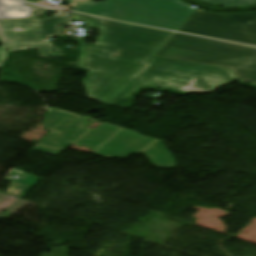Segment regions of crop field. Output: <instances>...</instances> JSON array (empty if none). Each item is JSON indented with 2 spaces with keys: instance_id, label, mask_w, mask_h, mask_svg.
<instances>
[{
  "instance_id": "crop-field-9",
  "label": "crop field",
  "mask_w": 256,
  "mask_h": 256,
  "mask_svg": "<svg viewBox=\"0 0 256 256\" xmlns=\"http://www.w3.org/2000/svg\"><path fill=\"white\" fill-rule=\"evenodd\" d=\"M45 11L18 0H0V19L41 17Z\"/></svg>"
},
{
  "instance_id": "crop-field-5",
  "label": "crop field",
  "mask_w": 256,
  "mask_h": 256,
  "mask_svg": "<svg viewBox=\"0 0 256 256\" xmlns=\"http://www.w3.org/2000/svg\"><path fill=\"white\" fill-rule=\"evenodd\" d=\"M68 24L66 13L57 11L51 18L0 20V40L10 51L35 48L41 56H62L48 40L61 37L59 25Z\"/></svg>"
},
{
  "instance_id": "crop-field-10",
  "label": "crop field",
  "mask_w": 256,
  "mask_h": 256,
  "mask_svg": "<svg viewBox=\"0 0 256 256\" xmlns=\"http://www.w3.org/2000/svg\"><path fill=\"white\" fill-rule=\"evenodd\" d=\"M120 130H122V128L103 123L96 130L88 131L74 144L86 146L91 150L97 151Z\"/></svg>"
},
{
  "instance_id": "crop-field-2",
  "label": "crop field",
  "mask_w": 256,
  "mask_h": 256,
  "mask_svg": "<svg viewBox=\"0 0 256 256\" xmlns=\"http://www.w3.org/2000/svg\"><path fill=\"white\" fill-rule=\"evenodd\" d=\"M145 65L106 102L120 100L144 84L196 94H210L219 86L236 81L231 70L209 65L155 56Z\"/></svg>"
},
{
  "instance_id": "crop-field-1",
  "label": "crop field",
  "mask_w": 256,
  "mask_h": 256,
  "mask_svg": "<svg viewBox=\"0 0 256 256\" xmlns=\"http://www.w3.org/2000/svg\"><path fill=\"white\" fill-rule=\"evenodd\" d=\"M73 21H83L100 30L96 44H83L79 66L90 70L82 79L89 98L105 101L128 77L143 66L174 34L71 13Z\"/></svg>"
},
{
  "instance_id": "crop-field-6",
  "label": "crop field",
  "mask_w": 256,
  "mask_h": 256,
  "mask_svg": "<svg viewBox=\"0 0 256 256\" xmlns=\"http://www.w3.org/2000/svg\"><path fill=\"white\" fill-rule=\"evenodd\" d=\"M180 31L256 45V12L210 14L199 10Z\"/></svg>"
},
{
  "instance_id": "crop-field-13",
  "label": "crop field",
  "mask_w": 256,
  "mask_h": 256,
  "mask_svg": "<svg viewBox=\"0 0 256 256\" xmlns=\"http://www.w3.org/2000/svg\"><path fill=\"white\" fill-rule=\"evenodd\" d=\"M196 1L209 2L215 6H220V7L256 6V0H196Z\"/></svg>"
},
{
  "instance_id": "crop-field-8",
  "label": "crop field",
  "mask_w": 256,
  "mask_h": 256,
  "mask_svg": "<svg viewBox=\"0 0 256 256\" xmlns=\"http://www.w3.org/2000/svg\"><path fill=\"white\" fill-rule=\"evenodd\" d=\"M155 141L156 139L141 136L130 130L123 129L94 154L108 159L114 156L126 158L132 153L143 152Z\"/></svg>"
},
{
  "instance_id": "crop-field-15",
  "label": "crop field",
  "mask_w": 256,
  "mask_h": 256,
  "mask_svg": "<svg viewBox=\"0 0 256 256\" xmlns=\"http://www.w3.org/2000/svg\"><path fill=\"white\" fill-rule=\"evenodd\" d=\"M6 58H7V51L3 46H1L0 47V68L2 67L3 62L6 61Z\"/></svg>"
},
{
  "instance_id": "crop-field-14",
  "label": "crop field",
  "mask_w": 256,
  "mask_h": 256,
  "mask_svg": "<svg viewBox=\"0 0 256 256\" xmlns=\"http://www.w3.org/2000/svg\"><path fill=\"white\" fill-rule=\"evenodd\" d=\"M52 254L42 252L41 256H68L69 247L67 246H58L51 247Z\"/></svg>"
},
{
  "instance_id": "crop-field-11",
  "label": "crop field",
  "mask_w": 256,
  "mask_h": 256,
  "mask_svg": "<svg viewBox=\"0 0 256 256\" xmlns=\"http://www.w3.org/2000/svg\"><path fill=\"white\" fill-rule=\"evenodd\" d=\"M143 154L157 167L174 168L176 166L174 158L160 140L153 143Z\"/></svg>"
},
{
  "instance_id": "crop-field-16",
  "label": "crop field",
  "mask_w": 256,
  "mask_h": 256,
  "mask_svg": "<svg viewBox=\"0 0 256 256\" xmlns=\"http://www.w3.org/2000/svg\"><path fill=\"white\" fill-rule=\"evenodd\" d=\"M93 0H67V5L69 7H75L79 2H92Z\"/></svg>"
},
{
  "instance_id": "crop-field-4",
  "label": "crop field",
  "mask_w": 256,
  "mask_h": 256,
  "mask_svg": "<svg viewBox=\"0 0 256 256\" xmlns=\"http://www.w3.org/2000/svg\"><path fill=\"white\" fill-rule=\"evenodd\" d=\"M179 0H106L73 10L177 31L195 9Z\"/></svg>"
},
{
  "instance_id": "crop-field-7",
  "label": "crop field",
  "mask_w": 256,
  "mask_h": 256,
  "mask_svg": "<svg viewBox=\"0 0 256 256\" xmlns=\"http://www.w3.org/2000/svg\"><path fill=\"white\" fill-rule=\"evenodd\" d=\"M87 118L52 108L45 113L43 119L44 129H51L52 131L35 146L60 153L89 130L86 127L91 122L85 121Z\"/></svg>"
},
{
  "instance_id": "crop-field-12",
  "label": "crop field",
  "mask_w": 256,
  "mask_h": 256,
  "mask_svg": "<svg viewBox=\"0 0 256 256\" xmlns=\"http://www.w3.org/2000/svg\"><path fill=\"white\" fill-rule=\"evenodd\" d=\"M4 180L12 182L6 194L23 198L25 193L32 188V186L38 180V178H34L27 175L23 180L7 178H4Z\"/></svg>"
},
{
  "instance_id": "crop-field-3",
  "label": "crop field",
  "mask_w": 256,
  "mask_h": 256,
  "mask_svg": "<svg viewBox=\"0 0 256 256\" xmlns=\"http://www.w3.org/2000/svg\"><path fill=\"white\" fill-rule=\"evenodd\" d=\"M230 68L237 80L256 84V49L175 33L155 54Z\"/></svg>"
}]
</instances>
